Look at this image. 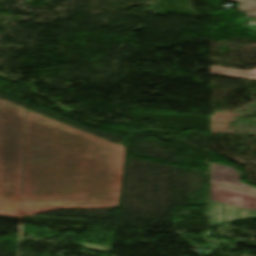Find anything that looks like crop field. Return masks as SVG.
<instances>
[{
  "label": "crop field",
  "mask_w": 256,
  "mask_h": 256,
  "mask_svg": "<svg viewBox=\"0 0 256 256\" xmlns=\"http://www.w3.org/2000/svg\"><path fill=\"white\" fill-rule=\"evenodd\" d=\"M211 199L256 210V194L211 183Z\"/></svg>",
  "instance_id": "8a807250"
},
{
  "label": "crop field",
  "mask_w": 256,
  "mask_h": 256,
  "mask_svg": "<svg viewBox=\"0 0 256 256\" xmlns=\"http://www.w3.org/2000/svg\"><path fill=\"white\" fill-rule=\"evenodd\" d=\"M238 179L239 173L235 172L233 168L217 165L214 163L211 164V182L256 192L255 189H252L245 184L239 183Z\"/></svg>",
  "instance_id": "ac0d7876"
},
{
  "label": "crop field",
  "mask_w": 256,
  "mask_h": 256,
  "mask_svg": "<svg viewBox=\"0 0 256 256\" xmlns=\"http://www.w3.org/2000/svg\"><path fill=\"white\" fill-rule=\"evenodd\" d=\"M239 2L238 10L245 11L247 17H256V0H229Z\"/></svg>",
  "instance_id": "412701ff"
},
{
  "label": "crop field",
  "mask_w": 256,
  "mask_h": 256,
  "mask_svg": "<svg viewBox=\"0 0 256 256\" xmlns=\"http://www.w3.org/2000/svg\"><path fill=\"white\" fill-rule=\"evenodd\" d=\"M75 243H77L81 247H83L85 249H89V250H97V251L109 252L110 248H111V247H107V246H98V245H92V244H88V243H79V242H75ZM104 248H108V250H106Z\"/></svg>",
  "instance_id": "f4fd0767"
},
{
  "label": "crop field",
  "mask_w": 256,
  "mask_h": 256,
  "mask_svg": "<svg viewBox=\"0 0 256 256\" xmlns=\"http://www.w3.org/2000/svg\"><path fill=\"white\" fill-rule=\"evenodd\" d=\"M209 73L256 81V69L251 71H241L218 66H211Z\"/></svg>",
  "instance_id": "34b2d1b8"
}]
</instances>
